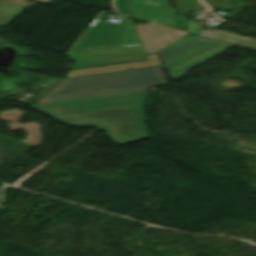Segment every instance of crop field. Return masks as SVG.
<instances>
[{
  "mask_svg": "<svg viewBox=\"0 0 256 256\" xmlns=\"http://www.w3.org/2000/svg\"><path fill=\"white\" fill-rule=\"evenodd\" d=\"M147 92L30 106L40 113L71 126H95L109 139L124 145L150 138L142 107Z\"/></svg>",
  "mask_w": 256,
  "mask_h": 256,
  "instance_id": "obj_1",
  "label": "crop field"
},
{
  "mask_svg": "<svg viewBox=\"0 0 256 256\" xmlns=\"http://www.w3.org/2000/svg\"><path fill=\"white\" fill-rule=\"evenodd\" d=\"M202 35L256 50V39L241 38L233 33H225L220 30H216V31L203 30Z\"/></svg>",
  "mask_w": 256,
  "mask_h": 256,
  "instance_id": "obj_8",
  "label": "crop field"
},
{
  "mask_svg": "<svg viewBox=\"0 0 256 256\" xmlns=\"http://www.w3.org/2000/svg\"><path fill=\"white\" fill-rule=\"evenodd\" d=\"M163 82L165 81L158 67L68 78L39 102L137 93Z\"/></svg>",
  "mask_w": 256,
  "mask_h": 256,
  "instance_id": "obj_2",
  "label": "crop field"
},
{
  "mask_svg": "<svg viewBox=\"0 0 256 256\" xmlns=\"http://www.w3.org/2000/svg\"><path fill=\"white\" fill-rule=\"evenodd\" d=\"M127 1L128 0H113L116 13L129 16L128 9L126 6Z\"/></svg>",
  "mask_w": 256,
  "mask_h": 256,
  "instance_id": "obj_9",
  "label": "crop field"
},
{
  "mask_svg": "<svg viewBox=\"0 0 256 256\" xmlns=\"http://www.w3.org/2000/svg\"><path fill=\"white\" fill-rule=\"evenodd\" d=\"M127 5L133 18L176 29L178 16L166 0H130Z\"/></svg>",
  "mask_w": 256,
  "mask_h": 256,
  "instance_id": "obj_5",
  "label": "crop field"
},
{
  "mask_svg": "<svg viewBox=\"0 0 256 256\" xmlns=\"http://www.w3.org/2000/svg\"><path fill=\"white\" fill-rule=\"evenodd\" d=\"M200 37L193 35L184 38L158 52L172 76V81L192 67L232 46L208 38L196 41ZM198 42L203 43L199 45Z\"/></svg>",
  "mask_w": 256,
  "mask_h": 256,
  "instance_id": "obj_3",
  "label": "crop field"
},
{
  "mask_svg": "<svg viewBox=\"0 0 256 256\" xmlns=\"http://www.w3.org/2000/svg\"><path fill=\"white\" fill-rule=\"evenodd\" d=\"M136 28L146 54L155 53L156 50L188 34L149 22L148 25H136Z\"/></svg>",
  "mask_w": 256,
  "mask_h": 256,
  "instance_id": "obj_6",
  "label": "crop field"
},
{
  "mask_svg": "<svg viewBox=\"0 0 256 256\" xmlns=\"http://www.w3.org/2000/svg\"><path fill=\"white\" fill-rule=\"evenodd\" d=\"M147 57H148L149 61L142 62V63H133V64H124V65H115V66H106V67H97V68H89V69L70 71L66 77L162 65L157 55H152V56H147Z\"/></svg>",
  "mask_w": 256,
  "mask_h": 256,
  "instance_id": "obj_7",
  "label": "crop field"
},
{
  "mask_svg": "<svg viewBox=\"0 0 256 256\" xmlns=\"http://www.w3.org/2000/svg\"><path fill=\"white\" fill-rule=\"evenodd\" d=\"M141 45L132 23L96 19L72 51Z\"/></svg>",
  "mask_w": 256,
  "mask_h": 256,
  "instance_id": "obj_4",
  "label": "crop field"
}]
</instances>
